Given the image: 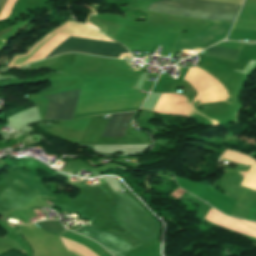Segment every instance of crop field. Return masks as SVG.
Listing matches in <instances>:
<instances>
[{
  "mask_svg": "<svg viewBox=\"0 0 256 256\" xmlns=\"http://www.w3.org/2000/svg\"><path fill=\"white\" fill-rule=\"evenodd\" d=\"M117 195V207H116V214L117 219L120 225H122L125 230L132 234L134 237H136L138 240H140L143 244L150 242L155 239V236L160 232L161 225L160 223L155 220L149 213H147L136 201L132 200L130 197H128L126 194H116ZM87 228H92L89 226H85ZM85 227H82L75 232H78L80 234H83L87 237H90L97 241L99 244H101L104 248H106L108 251H110L115 256H122V253L124 251L123 256H125L126 252L132 248H135L137 246L142 245L137 239H135L130 234H118L116 232H109L105 231L111 235H114L128 244L134 246L138 243V245L132 247L125 243L124 241L111 236L105 232H100L120 243L102 235L97 232H94L90 229H87Z\"/></svg>",
  "mask_w": 256,
  "mask_h": 256,
  "instance_id": "ac0d7876",
  "label": "crop field"
},
{
  "mask_svg": "<svg viewBox=\"0 0 256 256\" xmlns=\"http://www.w3.org/2000/svg\"><path fill=\"white\" fill-rule=\"evenodd\" d=\"M239 50L230 49L224 47L212 46L208 49L206 55L216 56L224 59H230L236 61Z\"/></svg>",
  "mask_w": 256,
  "mask_h": 256,
  "instance_id": "5a996713",
  "label": "crop field"
},
{
  "mask_svg": "<svg viewBox=\"0 0 256 256\" xmlns=\"http://www.w3.org/2000/svg\"><path fill=\"white\" fill-rule=\"evenodd\" d=\"M221 160H224V159H222V158H220ZM225 161H227V160H225Z\"/></svg>",
  "mask_w": 256,
  "mask_h": 256,
  "instance_id": "d1516ede",
  "label": "crop field"
},
{
  "mask_svg": "<svg viewBox=\"0 0 256 256\" xmlns=\"http://www.w3.org/2000/svg\"><path fill=\"white\" fill-rule=\"evenodd\" d=\"M43 230L58 236L65 228L61 226L59 221H43L36 223Z\"/></svg>",
  "mask_w": 256,
  "mask_h": 256,
  "instance_id": "28ad6ade",
  "label": "crop field"
},
{
  "mask_svg": "<svg viewBox=\"0 0 256 256\" xmlns=\"http://www.w3.org/2000/svg\"><path fill=\"white\" fill-rule=\"evenodd\" d=\"M240 5L211 0H160L147 10L161 14L233 22ZM211 21L203 32L179 39L175 49L197 48L212 40L219 42L227 36L232 23Z\"/></svg>",
  "mask_w": 256,
  "mask_h": 256,
  "instance_id": "8a807250",
  "label": "crop field"
},
{
  "mask_svg": "<svg viewBox=\"0 0 256 256\" xmlns=\"http://www.w3.org/2000/svg\"><path fill=\"white\" fill-rule=\"evenodd\" d=\"M59 239H60L62 245L64 246V248L72 251L73 253H75L78 256H96L93 252H91V251H89V250H87V249L61 237V236H59ZM67 253L69 256H76L75 254H73L69 251H67Z\"/></svg>",
  "mask_w": 256,
  "mask_h": 256,
  "instance_id": "3316defc",
  "label": "crop field"
},
{
  "mask_svg": "<svg viewBox=\"0 0 256 256\" xmlns=\"http://www.w3.org/2000/svg\"><path fill=\"white\" fill-rule=\"evenodd\" d=\"M184 192L185 191L180 190L178 188V189H176L175 192L172 193V196L177 198ZM206 219H208L209 221H211L219 226H222L224 228L239 232L241 234H246V235L256 237V223H251V222H247V221H243V220L228 218L212 208H211Z\"/></svg>",
  "mask_w": 256,
  "mask_h": 256,
  "instance_id": "dd49c442",
  "label": "crop field"
},
{
  "mask_svg": "<svg viewBox=\"0 0 256 256\" xmlns=\"http://www.w3.org/2000/svg\"><path fill=\"white\" fill-rule=\"evenodd\" d=\"M16 176L19 177L28 187H30L37 196L55 199L51 192L44 189L41 178L23 171Z\"/></svg>",
  "mask_w": 256,
  "mask_h": 256,
  "instance_id": "d8731c3e",
  "label": "crop field"
},
{
  "mask_svg": "<svg viewBox=\"0 0 256 256\" xmlns=\"http://www.w3.org/2000/svg\"><path fill=\"white\" fill-rule=\"evenodd\" d=\"M57 48L94 52V53L114 55V56H120V57L131 56L127 52V50L118 43L74 38V37L68 38L66 41L60 44ZM60 49H55L53 52L51 51L52 53H50L46 58L53 57L65 52H77V51L60 50ZM86 52H82V53H86ZM94 53H87V54L102 56V57H114V56L100 55V54H94ZM120 57H115V58H120Z\"/></svg>",
  "mask_w": 256,
  "mask_h": 256,
  "instance_id": "34b2d1b8",
  "label": "crop field"
},
{
  "mask_svg": "<svg viewBox=\"0 0 256 256\" xmlns=\"http://www.w3.org/2000/svg\"><path fill=\"white\" fill-rule=\"evenodd\" d=\"M79 90L43 96L48 99L47 110L43 120L72 119Z\"/></svg>",
  "mask_w": 256,
  "mask_h": 256,
  "instance_id": "412701ff",
  "label": "crop field"
},
{
  "mask_svg": "<svg viewBox=\"0 0 256 256\" xmlns=\"http://www.w3.org/2000/svg\"><path fill=\"white\" fill-rule=\"evenodd\" d=\"M27 187V186H26ZM17 179L0 195V205L13 210L23 209L37 196Z\"/></svg>",
  "mask_w": 256,
  "mask_h": 256,
  "instance_id": "f4fd0767",
  "label": "crop field"
},
{
  "mask_svg": "<svg viewBox=\"0 0 256 256\" xmlns=\"http://www.w3.org/2000/svg\"><path fill=\"white\" fill-rule=\"evenodd\" d=\"M134 112L112 115L102 136L123 137Z\"/></svg>",
  "mask_w": 256,
  "mask_h": 256,
  "instance_id": "e52e79f7",
  "label": "crop field"
}]
</instances>
